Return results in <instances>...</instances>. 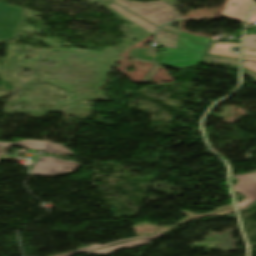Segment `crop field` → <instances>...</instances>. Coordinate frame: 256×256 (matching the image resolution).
Here are the masks:
<instances>
[{
    "label": "crop field",
    "mask_w": 256,
    "mask_h": 256,
    "mask_svg": "<svg viewBox=\"0 0 256 256\" xmlns=\"http://www.w3.org/2000/svg\"><path fill=\"white\" fill-rule=\"evenodd\" d=\"M254 11L251 13L249 25H253L256 22V3L253 7Z\"/></svg>",
    "instance_id": "bc2a9ffb"
},
{
    "label": "crop field",
    "mask_w": 256,
    "mask_h": 256,
    "mask_svg": "<svg viewBox=\"0 0 256 256\" xmlns=\"http://www.w3.org/2000/svg\"><path fill=\"white\" fill-rule=\"evenodd\" d=\"M162 28L166 29L167 31L174 32V33H178V34H179V32H180V30H178V29H176V28H174V27H172V26H169V25L163 26Z\"/></svg>",
    "instance_id": "214f88e0"
},
{
    "label": "crop field",
    "mask_w": 256,
    "mask_h": 256,
    "mask_svg": "<svg viewBox=\"0 0 256 256\" xmlns=\"http://www.w3.org/2000/svg\"><path fill=\"white\" fill-rule=\"evenodd\" d=\"M0 146H3L2 155H5V152L8 146H20V147L29 148V149L41 150L46 153H53V154L73 155L71 151L67 150L66 148L62 147L59 144H52L50 142L37 141V140H23L15 144L0 143Z\"/></svg>",
    "instance_id": "dd49c442"
},
{
    "label": "crop field",
    "mask_w": 256,
    "mask_h": 256,
    "mask_svg": "<svg viewBox=\"0 0 256 256\" xmlns=\"http://www.w3.org/2000/svg\"><path fill=\"white\" fill-rule=\"evenodd\" d=\"M163 234H164L163 232H160V233H158L156 235H153L149 238L139 239V240H135V241H131V242L111 246V247H108V248H104V249H100V250H97V251L89 252V254H96V255L100 256V255H104V254L113 253L117 249L131 248V247L147 244V243H150L151 240L161 237Z\"/></svg>",
    "instance_id": "5a996713"
},
{
    "label": "crop field",
    "mask_w": 256,
    "mask_h": 256,
    "mask_svg": "<svg viewBox=\"0 0 256 256\" xmlns=\"http://www.w3.org/2000/svg\"><path fill=\"white\" fill-rule=\"evenodd\" d=\"M231 3H235V5H231ZM252 3L253 0H228L225 5L226 10L221 15L245 22Z\"/></svg>",
    "instance_id": "d8731c3e"
},
{
    "label": "crop field",
    "mask_w": 256,
    "mask_h": 256,
    "mask_svg": "<svg viewBox=\"0 0 256 256\" xmlns=\"http://www.w3.org/2000/svg\"><path fill=\"white\" fill-rule=\"evenodd\" d=\"M178 37V35L167 33L161 29L156 33V38L164 47L176 48Z\"/></svg>",
    "instance_id": "d1516ede"
},
{
    "label": "crop field",
    "mask_w": 256,
    "mask_h": 256,
    "mask_svg": "<svg viewBox=\"0 0 256 256\" xmlns=\"http://www.w3.org/2000/svg\"><path fill=\"white\" fill-rule=\"evenodd\" d=\"M206 46L197 45L180 36L176 49L165 48L162 64L175 68L198 65Z\"/></svg>",
    "instance_id": "ac0d7876"
},
{
    "label": "crop field",
    "mask_w": 256,
    "mask_h": 256,
    "mask_svg": "<svg viewBox=\"0 0 256 256\" xmlns=\"http://www.w3.org/2000/svg\"><path fill=\"white\" fill-rule=\"evenodd\" d=\"M255 39H256L255 34L245 36L244 47L256 48Z\"/></svg>",
    "instance_id": "d9b57169"
},
{
    "label": "crop field",
    "mask_w": 256,
    "mask_h": 256,
    "mask_svg": "<svg viewBox=\"0 0 256 256\" xmlns=\"http://www.w3.org/2000/svg\"><path fill=\"white\" fill-rule=\"evenodd\" d=\"M114 2L159 27L179 18L178 14L170 5L161 1H157L156 4L154 2L139 3L126 0H115Z\"/></svg>",
    "instance_id": "8a807250"
},
{
    "label": "crop field",
    "mask_w": 256,
    "mask_h": 256,
    "mask_svg": "<svg viewBox=\"0 0 256 256\" xmlns=\"http://www.w3.org/2000/svg\"><path fill=\"white\" fill-rule=\"evenodd\" d=\"M108 6L111 7L112 9L116 10L120 14L124 15L125 17H127L128 19H130L131 21L138 24L139 26H141L142 28H144L145 30L149 31L152 34L155 33L156 30L158 29V27L142 20L141 18L137 17L136 15L130 13L129 11L123 9L122 7L118 6L117 4H115L113 2L111 4H109Z\"/></svg>",
    "instance_id": "3316defc"
},
{
    "label": "crop field",
    "mask_w": 256,
    "mask_h": 256,
    "mask_svg": "<svg viewBox=\"0 0 256 256\" xmlns=\"http://www.w3.org/2000/svg\"><path fill=\"white\" fill-rule=\"evenodd\" d=\"M2 147H0V156H1Z\"/></svg>",
    "instance_id": "00972430"
},
{
    "label": "crop field",
    "mask_w": 256,
    "mask_h": 256,
    "mask_svg": "<svg viewBox=\"0 0 256 256\" xmlns=\"http://www.w3.org/2000/svg\"><path fill=\"white\" fill-rule=\"evenodd\" d=\"M252 173V172H251ZM238 178V184L232 186L233 190L249 197L243 202L237 203L238 208H247L256 200V173L234 176Z\"/></svg>",
    "instance_id": "f4fd0767"
},
{
    "label": "crop field",
    "mask_w": 256,
    "mask_h": 256,
    "mask_svg": "<svg viewBox=\"0 0 256 256\" xmlns=\"http://www.w3.org/2000/svg\"><path fill=\"white\" fill-rule=\"evenodd\" d=\"M243 73L248 75V76H250V77H252L254 79V81H256V73L248 71V70H246L244 68H243Z\"/></svg>",
    "instance_id": "92a150f3"
},
{
    "label": "crop field",
    "mask_w": 256,
    "mask_h": 256,
    "mask_svg": "<svg viewBox=\"0 0 256 256\" xmlns=\"http://www.w3.org/2000/svg\"><path fill=\"white\" fill-rule=\"evenodd\" d=\"M78 166L79 163L76 162L41 156L35 163L31 174L40 176L63 175L67 172H74Z\"/></svg>",
    "instance_id": "34b2d1b8"
},
{
    "label": "crop field",
    "mask_w": 256,
    "mask_h": 256,
    "mask_svg": "<svg viewBox=\"0 0 256 256\" xmlns=\"http://www.w3.org/2000/svg\"><path fill=\"white\" fill-rule=\"evenodd\" d=\"M19 19V11L0 4V39L11 37Z\"/></svg>",
    "instance_id": "e52e79f7"
},
{
    "label": "crop field",
    "mask_w": 256,
    "mask_h": 256,
    "mask_svg": "<svg viewBox=\"0 0 256 256\" xmlns=\"http://www.w3.org/2000/svg\"><path fill=\"white\" fill-rule=\"evenodd\" d=\"M254 206H256V203H254L252 206H250V207H254Z\"/></svg>",
    "instance_id": "dafd665d"
},
{
    "label": "crop field",
    "mask_w": 256,
    "mask_h": 256,
    "mask_svg": "<svg viewBox=\"0 0 256 256\" xmlns=\"http://www.w3.org/2000/svg\"><path fill=\"white\" fill-rule=\"evenodd\" d=\"M231 46H239L240 47V44L225 43V42H213V45L211 47H208L206 53L239 58L238 54H235L228 50V48Z\"/></svg>",
    "instance_id": "28ad6ade"
},
{
    "label": "crop field",
    "mask_w": 256,
    "mask_h": 256,
    "mask_svg": "<svg viewBox=\"0 0 256 256\" xmlns=\"http://www.w3.org/2000/svg\"><path fill=\"white\" fill-rule=\"evenodd\" d=\"M243 67L251 71L256 72V62L253 61H243Z\"/></svg>",
    "instance_id": "4a817a6b"
},
{
    "label": "crop field",
    "mask_w": 256,
    "mask_h": 256,
    "mask_svg": "<svg viewBox=\"0 0 256 256\" xmlns=\"http://www.w3.org/2000/svg\"><path fill=\"white\" fill-rule=\"evenodd\" d=\"M180 34L189 37L190 39L194 40L195 42H197L199 44L208 45V43H209V38L208 37H197V36H193L191 34L182 32V31H181Z\"/></svg>",
    "instance_id": "5142ce71"
},
{
    "label": "crop field",
    "mask_w": 256,
    "mask_h": 256,
    "mask_svg": "<svg viewBox=\"0 0 256 256\" xmlns=\"http://www.w3.org/2000/svg\"><path fill=\"white\" fill-rule=\"evenodd\" d=\"M243 59L256 61V49L244 48Z\"/></svg>",
    "instance_id": "733c2abd"
},
{
    "label": "crop field",
    "mask_w": 256,
    "mask_h": 256,
    "mask_svg": "<svg viewBox=\"0 0 256 256\" xmlns=\"http://www.w3.org/2000/svg\"><path fill=\"white\" fill-rule=\"evenodd\" d=\"M222 210H224V212H222ZM234 208H233V205H227V206H224V207H221L215 211H213L212 213H208V214H204V215H195L191 212H188V211H180L186 215H188V218L178 222L177 224L171 226V227H156V226H152L150 224H147V223H140V224H137L135 226L132 227V229L139 235V236H144L145 234L144 233H147L148 235H151L159 230H162L164 232L186 222V221H189V220H193V219H197V218H200V217H204V216H210V215H219V214H226V213H230V212H234ZM145 225V226H141V225ZM160 232V231H159Z\"/></svg>",
    "instance_id": "412701ff"
},
{
    "label": "crop field",
    "mask_w": 256,
    "mask_h": 256,
    "mask_svg": "<svg viewBox=\"0 0 256 256\" xmlns=\"http://www.w3.org/2000/svg\"><path fill=\"white\" fill-rule=\"evenodd\" d=\"M137 238H141V237H137ZM137 238L126 239V240H119V241H115V242H112V243H108L106 245L88 246V247L80 248V249H78V251L67 253V254H63V255H58V256H71V255L76 254V253L85 252V251H89V250H93V249H98V248H102V247H107V246L123 243V242H126V241L134 240V239H137Z\"/></svg>",
    "instance_id": "cbeb9de0"
},
{
    "label": "crop field",
    "mask_w": 256,
    "mask_h": 256,
    "mask_svg": "<svg viewBox=\"0 0 256 256\" xmlns=\"http://www.w3.org/2000/svg\"><path fill=\"white\" fill-rule=\"evenodd\" d=\"M216 61L225 65L239 67V60L205 54L201 62Z\"/></svg>",
    "instance_id": "22f410ed"
}]
</instances>
